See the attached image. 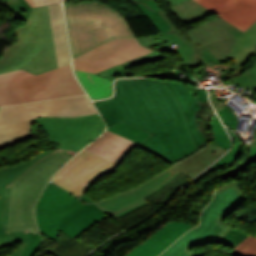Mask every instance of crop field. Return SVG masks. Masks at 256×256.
I'll return each mask as SVG.
<instances>
[{
  "label": "crop field",
  "mask_w": 256,
  "mask_h": 256,
  "mask_svg": "<svg viewBox=\"0 0 256 256\" xmlns=\"http://www.w3.org/2000/svg\"><path fill=\"white\" fill-rule=\"evenodd\" d=\"M116 98L127 115L159 129L140 144L144 148L170 162L197 149L180 105L162 81L119 79Z\"/></svg>",
  "instance_id": "crop-field-1"
},
{
  "label": "crop field",
  "mask_w": 256,
  "mask_h": 256,
  "mask_svg": "<svg viewBox=\"0 0 256 256\" xmlns=\"http://www.w3.org/2000/svg\"><path fill=\"white\" fill-rule=\"evenodd\" d=\"M33 121L46 131L50 141L60 143L59 151L71 157L105 129L99 114L76 118H40ZM55 151H46L27 162L0 169V248L23 242L8 256H33L41 241L38 230L7 232L12 184L41 158Z\"/></svg>",
  "instance_id": "crop-field-2"
},
{
  "label": "crop field",
  "mask_w": 256,
  "mask_h": 256,
  "mask_svg": "<svg viewBox=\"0 0 256 256\" xmlns=\"http://www.w3.org/2000/svg\"><path fill=\"white\" fill-rule=\"evenodd\" d=\"M73 59L112 40L135 37L124 17L98 1L65 4Z\"/></svg>",
  "instance_id": "crop-field-3"
},
{
  "label": "crop field",
  "mask_w": 256,
  "mask_h": 256,
  "mask_svg": "<svg viewBox=\"0 0 256 256\" xmlns=\"http://www.w3.org/2000/svg\"><path fill=\"white\" fill-rule=\"evenodd\" d=\"M82 94L70 65L39 75L20 69L0 74V106Z\"/></svg>",
  "instance_id": "crop-field-4"
},
{
  "label": "crop field",
  "mask_w": 256,
  "mask_h": 256,
  "mask_svg": "<svg viewBox=\"0 0 256 256\" xmlns=\"http://www.w3.org/2000/svg\"><path fill=\"white\" fill-rule=\"evenodd\" d=\"M239 182H230L216 190L214 199L202 213L201 224L179 238L160 256H201L189 248L219 240L232 227L221 223L247 197Z\"/></svg>",
  "instance_id": "crop-field-5"
},
{
  "label": "crop field",
  "mask_w": 256,
  "mask_h": 256,
  "mask_svg": "<svg viewBox=\"0 0 256 256\" xmlns=\"http://www.w3.org/2000/svg\"><path fill=\"white\" fill-rule=\"evenodd\" d=\"M71 157L56 152L36 163L13 184L8 231L37 229L34 205L57 170Z\"/></svg>",
  "instance_id": "crop-field-6"
},
{
  "label": "crop field",
  "mask_w": 256,
  "mask_h": 256,
  "mask_svg": "<svg viewBox=\"0 0 256 256\" xmlns=\"http://www.w3.org/2000/svg\"><path fill=\"white\" fill-rule=\"evenodd\" d=\"M93 207L94 204L88 205L50 183L37 204L35 214L41 233L54 241L58 230Z\"/></svg>",
  "instance_id": "crop-field-7"
},
{
  "label": "crop field",
  "mask_w": 256,
  "mask_h": 256,
  "mask_svg": "<svg viewBox=\"0 0 256 256\" xmlns=\"http://www.w3.org/2000/svg\"><path fill=\"white\" fill-rule=\"evenodd\" d=\"M97 111L86 96L6 106L0 109V126L40 117H76Z\"/></svg>",
  "instance_id": "crop-field-8"
},
{
  "label": "crop field",
  "mask_w": 256,
  "mask_h": 256,
  "mask_svg": "<svg viewBox=\"0 0 256 256\" xmlns=\"http://www.w3.org/2000/svg\"><path fill=\"white\" fill-rule=\"evenodd\" d=\"M118 166L83 150L64 165L51 181L81 198L99 177L113 172Z\"/></svg>",
  "instance_id": "crop-field-9"
},
{
  "label": "crop field",
  "mask_w": 256,
  "mask_h": 256,
  "mask_svg": "<svg viewBox=\"0 0 256 256\" xmlns=\"http://www.w3.org/2000/svg\"><path fill=\"white\" fill-rule=\"evenodd\" d=\"M152 52L136 38L112 40L73 60L75 69L97 73L130 59Z\"/></svg>",
  "instance_id": "crop-field-10"
},
{
  "label": "crop field",
  "mask_w": 256,
  "mask_h": 256,
  "mask_svg": "<svg viewBox=\"0 0 256 256\" xmlns=\"http://www.w3.org/2000/svg\"><path fill=\"white\" fill-rule=\"evenodd\" d=\"M14 33L19 41L3 52L0 73L22 68L44 47L38 7L32 8L26 25L17 28Z\"/></svg>",
  "instance_id": "crop-field-11"
},
{
  "label": "crop field",
  "mask_w": 256,
  "mask_h": 256,
  "mask_svg": "<svg viewBox=\"0 0 256 256\" xmlns=\"http://www.w3.org/2000/svg\"><path fill=\"white\" fill-rule=\"evenodd\" d=\"M170 45L177 44L175 49L181 60L188 66L200 65L229 57L207 40L196 28L190 31L164 33Z\"/></svg>",
  "instance_id": "crop-field-12"
},
{
  "label": "crop field",
  "mask_w": 256,
  "mask_h": 256,
  "mask_svg": "<svg viewBox=\"0 0 256 256\" xmlns=\"http://www.w3.org/2000/svg\"><path fill=\"white\" fill-rule=\"evenodd\" d=\"M179 173L173 169H168L133 190H129L105 200L95 203L104 212L112 215L116 219L147 204L143 197L158 191Z\"/></svg>",
  "instance_id": "crop-field-13"
},
{
  "label": "crop field",
  "mask_w": 256,
  "mask_h": 256,
  "mask_svg": "<svg viewBox=\"0 0 256 256\" xmlns=\"http://www.w3.org/2000/svg\"><path fill=\"white\" fill-rule=\"evenodd\" d=\"M163 82L173 91L178 102L180 103L186 115L189 129L198 149L209 144V140H205L201 128V121L210 120L214 113L207 100V90L197 88L194 90V92L190 93L185 84L171 81ZM205 105H207L212 111L206 116L201 117L198 113L202 112V107Z\"/></svg>",
  "instance_id": "crop-field-14"
},
{
  "label": "crop field",
  "mask_w": 256,
  "mask_h": 256,
  "mask_svg": "<svg viewBox=\"0 0 256 256\" xmlns=\"http://www.w3.org/2000/svg\"><path fill=\"white\" fill-rule=\"evenodd\" d=\"M241 31L256 21V4L251 0H195Z\"/></svg>",
  "instance_id": "crop-field-15"
},
{
  "label": "crop field",
  "mask_w": 256,
  "mask_h": 256,
  "mask_svg": "<svg viewBox=\"0 0 256 256\" xmlns=\"http://www.w3.org/2000/svg\"><path fill=\"white\" fill-rule=\"evenodd\" d=\"M195 227L193 224L171 222L158 230L144 245H139L126 256H157L181 234Z\"/></svg>",
  "instance_id": "crop-field-16"
},
{
  "label": "crop field",
  "mask_w": 256,
  "mask_h": 256,
  "mask_svg": "<svg viewBox=\"0 0 256 256\" xmlns=\"http://www.w3.org/2000/svg\"><path fill=\"white\" fill-rule=\"evenodd\" d=\"M39 12L45 47L23 67L34 74L58 67L48 6L39 8Z\"/></svg>",
  "instance_id": "crop-field-17"
},
{
  "label": "crop field",
  "mask_w": 256,
  "mask_h": 256,
  "mask_svg": "<svg viewBox=\"0 0 256 256\" xmlns=\"http://www.w3.org/2000/svg\"><path fill=\"white\" fill-rule=\"evenodd\" d=\"M138 145L107 130L101 137L85 148V150L116 164H121L129 152Z\"/></svg>",
  "instance_id": "crop-field-18"
},
{
  "label": "crop field",
  "mask_w": 256,
  "mask_h": 256,
  "mask_svg": "<svg viewBox=\"0 0 256 256\" xmlns=\"http://www.w3.org/2000/svg\"><path fill=\"white\" fill-rule=\"evenodd\" d=\"M140 44L145 47L153 50V53L138 57L136 59L130 60L118 66L112 67L105 71L97 73L100 77L108 78L110 80L114 79L115 75L119 74L121 76H128L130 72L125 71L124 69L130 67L134 64H140L145 62H150L156 59L164 58L165 56L161 53L163 50H166L170 53L175 54L173 49L169 46L166 40L163 38L161 34L139 37L137 38Z\"/></svg>",
  "instance_id": "crop-field-19"
},
{
  "label": "crop field",
  "mask_w": 256,
  "mask_h": 256,
  "mask_svg": "<svg viewBox=\"0 0 256 256\" xmlns=\"http://www.w3.org/2000/svg\"><path fill=\"white\" fill-rule=\"evenodd\" d=\"M202 34L223 52L231 56L241 31L220 17L197 27Z\"/></svg>",
  "instance_id": "crop-field-20"
},
{
  "label": "crop field",
  "mask_w": 256,
  "mask_h": 256,
  "mask_svg": "<svg viewBox=\"0 0 256 256\" xmlns=\"http://www.w3.org/2000/svg\"><path fill=\"white\" fill-rule=\"evenodd\" d=\"M224 151L225 149L210 144L197 154L174 165L171 168L175 169L180 174L191 179L197 173L202 171L206 166L211 164L215 159L221 156L224 153Z\"/></svg>",
  "instance_id": "crop-field-21"
},
{
  "label": "crop field",
  "mask_w": 256,
  "mask_h": 256,
  "mask_svg": "<svg viewBox=\"0 0 256 256\" xmlns=\"http://www.w3.org/2000/svg\"><path fill=\"white\" fill-rule=\"evenodd\" d=\"M58 65L70 64L65 23L61 5L49 6Z\"/></svg>",
  "instance_id": "crop-field-22"
},
{
  "label": "crop field",
  "mask_w": 256,
  "mask_h": 256,
  "mask_svg": "<svg viewBox=\"0 0 256 256\" xmlns=\"http://www.w3.org/2000/svg\"><path fill=\"white\" fill-rule=\"evenodd\" d=\"M95 106L99 110L102 117H104L107 128L121 121H124L151 134L157 130L149 125H146L127 116L116 101L115 97L110 100L101 101Z\"/></svg>",
  "instance_id": "crop-field-23"
},
{
  "label": "crop field",
  "mask_w": 256,
  "mask_h": 256,
  "mask_svg": "<svg viewBox=\"0 0 256 256\" xmlns=\"http://www.w3.org/2000/svg\"><path fill=\"white\" fill-rule=\"evenodd\" d=\"M253 55H256V23L240 36L231 58L238 69L256 74V62L255 67L250 70L244 67Z\"/></svg>",
  "instance_id": "crop-field-24"
},
{
  "label": "crop field",
  "mask_w": 256,
  "mask_h": 256,
  "mask_svg": "<svg viewBox=\"0 0 256 256\" xmlns=\"http://www.w3.org/2000/svg\"><path fill=\"white\" fill-rule=\"evenodd\" d=\"M78 80L92 99L108 97L112 94L111 81L96 74L75 70Z\"/></svg>",
  "instance_id": "crop-field-25"
},
{
  "label": "crop field",
  "mask_w": 256,
  "mask_h": 256,
  "mask_svg": "<svg viewBox=\"0 0 256 256\" xmlns=\"http://www.w3.org/2000/svg\"><path fill=\"white\" fill-rule=\"evenodd\" d=\"M228 59L210 63L213 67L221 66L225 75L221 78L224 82H233L241 87H250L251 91L256 90V75L239 71L234 64H228Z\"/></svg>",
  "instance_id": "crop-field-26"
},
{
  "label": "crop field",
  "mask_w": 256,
  "mask_h": 256,
  "mask_svg": "<svg viewBox=\"0 0 256 256\" xmlns=\"http://www.w3.org/2000/svg\"><path fill=\"white\" fill-rule=\"evenodd\" d=\"M32 130L30 121L0 127V148L31 137Z\"/></svg>",
  "instance_id": "crop-field-27"
},
{
  "label": "crop field",
  "mask_w": 256,
  "mask_h": 256,
  "mask_svg": "<svg viewBox=\"0 0 256 256\" xmlns=\"http://www.w3.org/2000/svg\"><path fill=\"white\" fill-rule=\"evenodd\" d=\"M105 217V213L96 207L72 221L61 231L75 238Z\"/></svg>",
  "instance_id": "crop-field-28"
},
{
  "label": "crop field",
  "mask_w": 256,
  "mask_h": 256,
  "mask_svg": "<svg viewBox=\"0 0 256 256\" xmlns=\"http://www.w3.org/2000/svg\"><path fill=\"white\" fill-rule=\"evenodd\" d=\"M136 3L152 20L161 33L177 30L168 17L164 14L155 0H129Z\"/></svg>",
  "instance_id": "crop-field-29"
},
{
  "label": "crop field",
  "mask_w": 256,
  "mask_h": 256,
  "mask_svg": "<svg viewBox=\"0 0 256 256\" xmlns=\"http://www.w3.org/2000/svg\"><path fill=\"white\" fill-rule=\"evenodd\" d=\"M170 9L176 15V17L185 24H188L193 20L214 14L193 0H188Z\"/></svg>",
  "instance_id": "crop-field-30"
},
{
  "label": "crop field",
  "mask_w": 256,
  "mask_h": 256,
  "mask_svg": "<svg viewBox=\"0 0 256 256\" xmlns=\"http://www.w3.org/2000/svg\"><path fill=\"white\" fill-rule=\"evenodd\" d=\"M231 137L233 138L234 141V147L232 150H230L225 156H223L218 162H216L213 166H211L208 170H206L204 173H202L200 176H198L196 179L193 180V182H198L208 174L226 166L230 162L234 161L235 159L238 158V156L242 152L243 144L241 140L236 136V134L232 133L228 129Z\"/></svg>",
  "instance_id": "crop-field-31"
},
{
  "label": "crop field",
  "mask_w": 256,
  "mask_h": 256,
  "mask_svg": "<svg viewBox=\"0 0 256 256\" xmlns=\"http://www.w3.org/2000/svg\"><path fill=\"white\" fill-rule=\"evenodd\" d=\"M108 130L115 132L121 136H124L128 139H131L137 143H141L142 141H144L147 137L150 136V134L139 130L133 126H130L124 122H121L115 126H112L110 128H108Z\"/></svg>",
  "instance_id": "crop-field-32"
},
{
  "label": "crop field",
  "mask_w": 256,
  "mask_h": 256,
  "mask_svg": "<svg viewBox=\"0 0 256 256\" xmlns=\"http://www.w3.org/2000/svg\"><path fill=\"white\" fill-rule=\"evenodd\" d=\"M0 4L8 7L14 19L25 20L31 10V7L25 0H0Z\"/></svg>",
  "instance_id": "crop-field-33"
},
{
  "label": "crop field",
  "mask_w": 256,
  "mask_h": 256,
  "mask_svg": "<svg viewBox=\"0 0 256 256\" xmlns=\"http://www.w3.org/2000/svg\"><path fill=\"white\" fill-rule=\"evenodd\" d=\"M209 126L213 128V132H214L215 142L213 144L219 145L225 149H228L230 146L229 137L226 134V132H225L220 120L216 116V114L214 115Z\"/></svg>",
  "instance_id": "crop-field-34"
},
{
  "label": "crop field",
  "mask_w": 256,
  "mask_h": 256,
  "mask_svg": "<svg viewBox=\"0 0 256 256\" xmlns=\"http://www.w3.org/2000/svg\"><path fill=\"white\" fill-rule=\"evenodd\" d=\"M233 256H256V237L248 236L233 252Z\"/></svg>",
  "instance_id": "crop-field-35"
},
{
  "label": "crop field",
  "mask_w": 256,
  "mask_h": 256,
  "mask_svg": "<svg viewBox=\"0 0 256 256\" xmlns=\"http://www.w3.org/2000/svg\"><path fill=\"white\" fill-rule=\"evenodd\" d=\"M247 236L248 234L245 231L233 228L230 232H228L224 237L220 239V242L235 248Z\"/></svg>",
  "instance_id": "crop-field-36"
},
{
  "label": "crop field",
  "mask_w": 256,
  "mask_h": 256,
  "mask_svg": "<svg viewBox=\"0 0 256 256\" xmlns=\"http://www.w3.org/2000/svg\"><path fill=\"white\" fill-rule=\"evenodd\" d=\"M217 113L221 117L224 125L228 126L235 132L236 127L239 122V121H237V115L234 116L232 114V111L230 109H228L227 107L218 111Z\"/></svg>",
  "instance_id": "crop-field-37"
},
{
  "label": "crop field",
  "mask_w": 256,
  "mask_h": 256,
  "mask_svg": "<svg viewBox=\"0 0 256 256\" xmlns=\"http://www.w3.org/2000/svg\"><path fill=\"white\" fill-rule=\"evenodd\" d=\"M31 7L61 3V0H26Z\"/></svg>",
  "instance_id": "crop-field-38"
},
{
  "label": "crop field",
  "mask_w": 256,
  "mask_h": 256,
  "mask_svg": "<svg viewBox=\"0 0 256 256\" xmlns=\"http://www.w3.org/2000/svg\"><path fill=\"white\" fill-rule=\"evenodd\" d=\"M256 160V142L254 143V145L251 147V154L250 156L242 161L240 163L239 169L241 170L242 168H244L246 165H248L249 163L253 162Z\"/></svg>",
  "instance_id": "crop-field-39"
},
{
  "label": "crop field",
  "mask_w": 256,
  "mask_h": 256,
  "mask_svg": "<svg viewBox=\"0 0 256 256\" xmlns=\"http://www.w3.org/2000/svg\"><path fill=\"white\" fill-rule=\"evenodd\" d=\"M210 97H211L213 105H214V107L216 108L217 111L226 107V106H223V104H221L220 101L217 98H215L213 88L210 90Z\"/></svg>",
  "instance_id": "crop-field-40"
},
{
  "label": "crop field",
  "mask_w": 256,
  "mask_h": 256,
  "mask_svg": "<svg viewBox=\"0 0 256 256\" xmlns=\"http://www.w3.org/2000/svg\"><path fill=\"white\" fill-rule=\"evenodd\" d=\"M183 1H185V0H166V2H167V4H168L169 7H171V6H173V5H176V4H178V3H181V2H183Z\"/></svg>",
  "instance_id": "crop-field-41"
},
{
  "label": "crop field",
  "mask_w": 256,
  "mask_h": 256,
  "mask_svg": "<svg viewBox=\"0 0 256 256\" xmlns=\"http://www.w3.org/2000/svg\"><path fill=\"white\" fill-rule=\"evenodd\" d=\"M252 1H254L256 3V0H252Z\"/></svg>",
  "instance_id": "crop-field-42"
},
{
  "label": "crop field",
  "mask_w": 256,
  "mask_h": 256,
  "mask_svg": "<svg viewBox=\"0 0 256 256\" xmlns=\"http://www.w3.org/2000/svg\"><path fill=\"white\" fill-rule=\"evenodd\" d=\"M66 1V0H65Z\"/></svg>",
  "instance_id": "crop-field-43"
}]
</instances>
